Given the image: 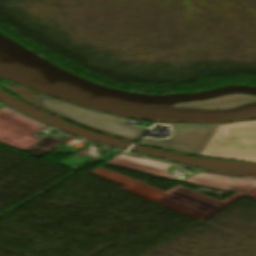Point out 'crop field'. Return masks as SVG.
Listing matches in <instances>:
<instances>
[{"label":"crop field","instance_id":"obj_6","mask_svg":"<svg viewBox=\"0 0 256 256\" xmlns=\"http://www.w3.org/2000/svg\"><path fill=\"white\" fill-rule=\"evenodd\" d=\"M180 188L183 189V190H180ZM176 190H178V191H180V192H183V193H185V194L191 195V196H193V197L202 199V200H204V201L210 202V203H212V204H215V205H217V207L212 206V205L207 204V203H204V202H202V201L193 199V198H191V197L185 196V195L180 194V193H178V192H176V191H171V192H169V193H171V194H173V195H176V196H179V197H181V198L187 199V200H189V201L195 202V203H197V204H199V205H202V206H204V207H207V208H209V209H211V210H213V211L208 210V209H205V208L200 207V206H197V205H194V204H191V203H189V202H187V201H184V200H182V199H179V198H177V197H175V196H173V195L171 196V195H169V194H167V193H164V194H162V195L156 197V198H158V199L164 200V201H166V202H169V203H171V204H174V205H176V206L182 207V208H184V209H187V210H189V211H192V212H194V213H197V214H200V215L204 216L203 218H201V217H199V216H196V215H194V214H191V213L186 212V211H184V210H181V209H179V208L173 207V206H171V205H168V204L163 203V202H161V201H158V200H156V199H154V200H152V201L157 202V203L162 204V205H165V206H167V207H170V208H172V209H175V210L180 211V212H182V213H185V214H187V215L193 216V217L198 218V219H200V220L206 218L207 216L211 215L212 213L218 211L219 209H221V208H223L224 206L227 205V204H224V203H222V202L213 200V199H211V198H208V197H206V196H203V195H201V194H199V193H196V192H194V191H191V190L186 189V188H183V187H179V188H177ZM165 197H167V198H169V199H172V200H175V201H177V202L183 203V204L188 205V206H190V207L196 208V209H198V210L204 211V212L208 213V215H206V214H204V213H201V212H199V211H196V210H194V209H191V208H189V207H187V206H184V205H182V204H179V203H177V202H174V201H172V200H169V199H167V198H165Z\"/></svg>","mask_w":256,"mask_h":256},{"label":"crop field","instance_id":"obj_10","mask_svg":"<svg viewBox=\"0 0 256 256\" xmlns=\"http://www.w3.org/2000/svg\"><path fill=\"white\" fill-rule=\"evenodd\" d=\"M207 173L229 175L241 178H256V172H241V171H219L206 169Z\"/></svg>","mask_w":256,"mask_h":256},{"label":"crop field","instance_id":"obj_8","mask_svg":"<svg viewBox=\"0 0 256 256\" xmlns=\"http://www.w3.org/2000/svg\"><path fill=\"white\" fill-rule=\"evenodd\" d=\"M69 138H71V137L66 136V137L58 140L54 137L47 135L43 139L28 146L24 150L40 157V156L48 153L49 151L53 150L54 148L60 146L63 142H65Z\"/></svg>","mask_w":256,"mask_h":256},{"label":"crop field","instance_id":"obj_3","mask_svg":"<svg viewBox=\"0 0 256 256\" xmlns=\"http://www.w3.org/2000/svg\"><path fill=\"white\" fill-rule=\"evenodd\" d=\"M170 126L173 129L171 138L166 140L143 139L139 143L200 156L219 125Z\"/></svg>","mask_w":256,"mask_h":256},{"label":"crop field","instance_id":"obj_1","mask_svg":"<svg viewBox=\"0 0 256 256\" xmlns=\"http://www.w3.org/2000/svg\"><path fill=\"white\" fill-rule=\"evenodd\" d=\"M9 89L25 97L29 103L38 106L52 114H55L78 125L121 139L129 141L136 140L148 129L137 125H124L127 122L126 119L85 110L68 103L51 99L40 93L30 91L24 87L14 85L10 86Z\"/></svg>","mask_w":256,"mask_h":256},{"label":"crop field","instance_id":"obj_2","mask_svg":"<svg viewBox=\"0 0 256 256\" xmlns=\"http://www.w3.org/2000/svg\"><path fill=\"white\" fill-rule=\"evenodd\" d=\"M201 156L256 161V121L220 125Z\"/></svg>","mask_w":256,"mask_h":256},{"label":"crop field","instance_id":"obj_5","mask_svg":"<svg viewBox=\"0 0 256 256\" xmlns=\"http://www.w3.org/2000/svg\"><path fill=\"white\" fill-rule=\"evenodd\" d=\"M45 126L31 121L6 107L0 108V142L20 150L41 139L33 136Z\"/></svg>","mask_w":256,"mask_h":256},{"label":"crop field","instance_id":"obj_9","mask_svg":"<svg viewBox=\"0 0 256 256\" xmlns=\"http://www.w3.org/2000/svg\"><path fill=\"white\" fill-rule=\"evenodd\" d=\"M256 187V181L238 180L226 191L235 193H247Z\"/></svg>","mask_w":256,"mask_h":256},{"label":"crop field","instance_id":"obj_7","mask_svg":"<svg viewBox=\"0 0 256 256\" xmlns=\"http://www.w3.org/2000/svg\"><path fill=\"white\" fill-rule=\"evenodd\" d=\"M256 101L255 96L243 95V94H232L225 95L205 101L181 103L170 105L171 107H196L205 109H221V108H233L241 104Z\"/></svg>","mask_w":256,"mask_h":256},{"label":"crop field","instance_id":"obj_4","mask_svg":"<svg viewBox=\"0 0 256 256\" xmlns=\"http://www.w3.org/2000/svg\"><path fill=\"white\" fill-rule=\"evenodd\" d=\"M107 163L120 166V167L133 169V170L140 171L147 174L158 175V176L182 181L180 179L170 176L169 173L167 172L166 168L168 166H173V165L161 163V162L154 161L147 158H140V157H134L132 155L122 154ZM173 167H176V166H173ZM233 180L234 179H230V178L197 174L185 180L184 182L223 191Z\"/></svg>","mask_w":256,"mask_h":256}]
</instances>
